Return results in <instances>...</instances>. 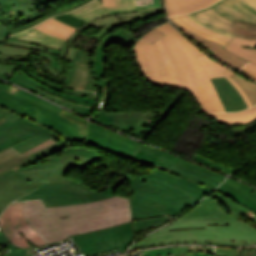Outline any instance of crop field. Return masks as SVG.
<instances>
[{
    "label": "crop field",
    "instance_id": "1",
    "mask_svg": "<svg viewBox=\"0 0 256 256\" xmlns=\"http://www.w3.org/2000/svg\"><path fill=\"white\" fill-rule=\"evenodd\" d=\"M93 159L80 155L65 154L55 163L16 171L14 168L0 173V213L17 198L48 182L73 183L93 194L77 195L65 191L39 190L16 201L43 198L47 207L81 204L116 196L112 192L117 184L126 179L133 188V199L129 198L132 220L169 215L173 218L207 195L212 190L186 181L173 174L154 169L144 177H123L106 191L97 193L86 185L63 176L71 165L85 168ZM52 174V176H50ZM43 179V180H41ZM120 197V196H119ZM126 198V197H125Z\"/></svg>",
    "mask_w": 256,
    "mask_h": 256
},
{
    "label": "crop field",
    "instance_id": "2",
    "mask_svg": "<svg viewBox=\"0 0 256 256\" xmlns=\"http://www.w3.org/2000/svg\"><path fill=\"white\" fill-rule=\"evenodd\" d=\"M186 243L255 244L256 214L214 191L168 226L142 238L131 248Z\"/></svg>",
    "mask_w": 256,
    "mask_h": 256
},
{
    "label": "crop field",
    "instance_id": "3",
    "mask_svg": "<svg viewBox=\"0 0 256 256\" xmlns=\"http://www.w3.org/2000/svg\"><path fill=\"white\" fill-rule=\"evenodd\" d=\"M159 29L166 35L161 39L179 77L160 76L151 43L164 35L155 28L142 36L134 46V54L145 79L155 85H168L188 90L197 99L204 113L225 111L215 88L196 57L204 53L170 23Z\"/></svg>",
    "mask_w": 256,
    "mask_h": 256
},
{
    "label": "crop field",
    "instance_id": "4",
    "mask_svg": "<svg viewBox=\"0 0 256 256\" xmlns=\"http://www.w3.org/2000/svg\"><path fill=\"white\" fill-rule=\"evenodd\" d=\"M103 207V209H101ZM26 220L47 244L69 235L131 220L129 200L113 197L93 203L46 208L42 200L23 202Z\"/></svg>",
    "mask_w": 256,
    "mask_h": 256
},
{
    "label": "crop field",
    "instance_id": "5",
    "mask_svg": "<svg viewBox=\"0 0 256 256\" xmlns=\"http://www.w3.org/2000/svg\"><path fill=\"white\" fill-rule=\"evenodd\" d=\"M0 107L31 119L72 142H84L86 128L58 115L62 109L23 90L14 94L1 90Z\"/></svg>",
    "mask_w": 256,
    "mask_h": 256
},
{
    "label": "crop field",
    "instance_id": "6",
    "mask_svg": "<svg viewBox=\"0 0 256 256\" xmlns=\"http://www.w3.org/2000/svg\"><path fill=\"white\" fill-rule=\"evenodd\" d=\"M21 45V47H20ZM37 54L45 59L38 58L39 62H34L35 69L38 73L46 76L44 80L38 78L30 70L29 64L26 58L18 57L14 58L13 55H24V54ZM0 58L4 59H14L19 60V63H7L0 61V73L11 76L12 73L21 67L22 71L25 72L28 76L34 78L35 80L57 90L61 91L65 88V83L62 84L63 72L61 64V51L20 41L10 37L4 45H0Z\"/></svg>",
    "mask_w": 256,
    "mask_h": 256
},
{
    "label": "crop field",
    "instance_id": "7",
    "mask_svg": "<svg viewBox=\"0 0 256 256\" xmlns=\"http://www.w3.org/2000/svg\"><path fill=\"white\" fill-rule=\"evenodd\" d=\"M192 15L221 31L256 39V0H220Z\"/></svg>",
    "mask_w": 256,
    "mask_h": 256
},
{
    "label": "crop field",
    "instance_id": "8",
    "mask_svg": "<svg viewBox=\"0 0 256 256\" xmlns=\"http://www.w3.org/2000/svg\"><path fill=\"white\" fill-rule=\"evenodd\" d=\"M51 136L58 141L63 138L31 120L21 118L13 123L8 121L0 126V150L12 145L23 153Z\"/></svg>",
    "mask_w": 256,
    "mask_h": 256
},
{
    "label": "crop field",
    "instance_id": "9",
    "mask_svg": "<svg viewBox=\"0 0 256 256\" xmlns=\"http://www.w3.org/2000/svg\"><path fill=\"white\" fill-rule=\"evenodd\" d=\"M86 256L119 248L124 253L134 240L131 221L94 232L71 236Z\"/></svg>",
    "mask_w": 256,
    "mask_h": 256
},
{
    "label": "crop field",
    "instance_id": "10",
    "mask_svg": "<svg viewBox=\"0 0 256 256\" xmlns=\"http://www.w3.org/2000/svg\"><path fill=\"white\" fill-rule=\"evenodd\" d=\"M0 225L11 243L17 246L30 247L25 238L36 246L45 244L44 240L25 220L22 211V202L12 203L6 208L0 216Z\"/></svg>",
    "mask_w": 256,
    "mask_h": 256
},
{
    "label": "crop field",
    "instance_id": "11",
    "mask_svg": "<svg viewBox=\"0 0 256 256\" xmlns=\"http://www.w3.org/2000/svg\"><path fill=\"white\" fill-rule=\"evenodd\" d=\"M162 12H164L162 8L149 9V10H143L139 12L107 15V16H103L95 20H92L90 22H87L85 25H83L82 28H80L75 34H73L69 38V40L66 42L63 53H62V58L73 61L76 49L71 47L70 45L78 37V35L89 25L94 24L102 28L100 32L93 37L101 41L106 34L120 27L122 24L131 22L134 20H138L140 18H148L154 15L160 14Z\"/></svg>",
    "mask_w": 256,
    "mask_h": 256
},
{
    "label": "crop field",
    "instance_id": "12",
    "mask_svg": "<svg viewBox=\"0 0 256 256\" xmlns=\"http://www.w3.org/2000/svg\"><path fill=\"white\" fill-rule=\"evenodd\" d=\"M157 161L171 166L170 170L172 171L170 173L212 189H214L226 178V176H223L217 172L178 158L175 155L165 151L162 152Z\"/></svg>",
    "mask_w": 256,
    "mask_h": 256
},
{
    "label": "crop field",
    "instance_id": "13",
    "mask_svg": "<svg viewBox=\"0 0 256 256\" xmlns=\"http://www.w3.org/2000/svg\"><path fill=\"white\" fill-rule=\"evenodd\" d=\"M87 143L129 159L135 154L140 144L93 122L89 125Z\"/></svg>",
    "mask_w": 256,
    "mask_h": 256
},
{
    "label": "crop field",
    "instance_id": "14",
    "mask_svg": "<svg viewBox=\"0 0 256 256\" xmlns=\"http://www.w3.org/2000/svg\"><path fill=\"white\" fill-rule=\"evenodd\" d=\"M50 0H10L0 3V24L8 29L31 23L43 15L35 8Z\"/></svg>",
    "mask_w": 256,
    "mask_h": 256
},
{
    "label": "crop field",
    "instance_id": "15",
    "mask_svg": "<svg viewBox=\"0 0 256 256\" xmlns=\"http://www.w3.org/2000/svg\"><path fill=\"white\" fill-rule=\"evenodd\" d=\"M157 18H164V16L157 17ZM155 19L141 23V25L148 23L150 21H153ZM140 26L134 28V30L131 31L130 33L122 27L121 29L106 35L104 39L97 45L95 52L93 54L92 68L98 82V88L100 89L108 88V85H109V80H107L106 78H103L104 71H105L104 47L106 43L120 41V43L123 45L134 46L140 37L132 33L136 29H138Z\"/></svg>",
    "mask_w": 256,
    "mask_h": 256
},
{
    "label": "crop field",
    "instance_id": "16",
    "mask_svg": "<svg viewBox=\"0 0 256 256\" xmlns=\"http://www.w3.org/2000/svg\"><path fill=\"white\" fill-rule=\"evenodd\" d=\"M159 111L156 112V114H158ZM145 113L147 112L127 111L106 113V111H99L92 117V119L107 124L109 126H113L134 136H138L143 131V129L149 124L147 122L148 119ZM150 116L151 114L149 113V117ZM150 120H152V118ZM132 129L136 130L133 131Z\"/></svg>",
    "mask_w": 256,
    "mask_h": 256
},
{
    "label": "crop field",
    "instance_id": "17",
    "mask_svg": "<svg viewBox=\"0 0 256 256\" xmlns=\"http://www.w3.org/2000/svg\"><path fill=\"white\" fill-rule=\"evenodd\" d=\"M158 7H162V6L148 7V8H142V9L158 8ZM142 9H136L134 0H103V3L99 2L98 0H94L68 13L78 16L87 21H90L92 19H95L103 15H107V14L122 13V12H128V11H138Z\"/></svg>",
    "mask_w": 256,
    "mask_h": 256
},
{
    "label": "crop field",
    "instance_id": "18",
    "mask_svg": "<svg viewBox=\"0 0 256 256\" xmlns=\"http://www.w3.org/2000/svg\"><path fill=\"white\" fill-rule=\"evenodd\" d=\"M62 146L55 138L51 137L41 145L21 154L16 149L10 147L0 152V172L21 165L50 150Z\"/></svg>",
    "mask_w": 256,
    "mask_h": 256
},
{
    "label": "crop field",
    "instance_id": "19",
    "mask_svg": "<svg viewBox=\"0 0 256 256\" xmlns=\"http://www.w3.org/2000/svg\"><path fill=\"white\" fill-rule=\"evenodd\" d=\"M63 146L55 149L53 151H50L30 162L24 163L21 166L15 167L16 170L29 168L37 165L47 164L51 162H55L58 160V158L65 153H71V154H80L86 157H90L95 159L96 161L100 162L103 160L102 154L98 153L95 150L86 148V147H78V145L74 144H67L65 141L60 140L59 141Z\"/></svg>",
    "mask_w": 256,
    "mask_h": 256
},
{
    "label": "crop field",
    "instance_id": "20",
    "mask_svg": "<svg viewBox=\"0 0 256 256\" xmlns=\"http://www.w3.org/2000/svg\"><path fill=\"white\" fill-rule=\"evenodd\" d=\"M211 81L216 88L226 111H238L247 108L242 96L225 77L214 78L211 79Z\"/></svg>",
    "mask_w": 256,
    "mask_h": 256
},
{
    "label": "crop field",
    "instance_id": "21",
    "mask_svg": "<svg viewBox=\"0 0 256 256\" xmlns=\"http://www.w3.org/2000/svg\"><path fill=\"white\" fill-rule=\"evenodd\" d=\"M11 82H14L28 90H31L37 86L45 91H48L50 93L58 95L63 99H66V100H69V101H72V102H75L78 104H82V105H86V106H90V107H93V105L95 104V99H93V98L79 97V96H75V95H71V94L60 93V92H57L49 87H46V86L40 84L39 82L33 80L32 78L28 77L21 70L18 71L13 76V78L11 79Z\"/></svg>",
    "mask_w": 256,
    "mask_h": 256
},
{
    "label": "crop field",
    "instance_id": "22",
    "mask_svg": "<svg viewBox=\"0 0 256 256\" xmlns=\"http://www.w3.org/2000/svg\"><path fill=\"white\" fill-rule=\"evenodd\" d=\"M171 20H172V18H171ZM174 24L177 25L179 29L183 30L187 35L192 36V37L200 40L203 44H205L207 47H209L211 50H213L216 53L215 56L217 58H219L222 62L231 66L232 68L239 71V69L242 66H244V64L246 63V61L228 53L225 50H223L222 48L224 46L219 45V44H217L215 42H212V41L205 40V39H203V38H201V37H199V36H197L193 33H190L188 31H186L185 29L181 28L176 22H174Z\"/></svg>",
    "mask_w": 256,
    "mask_h": 256
},
{
    "label": "crop field",
    "instance_id": "23",
    "mask_svg": "<svg viewBox=\"0 0 256 256\" xmlns=\"http://www.w3.org/2000/svg\"><path fill=\"white\" fill-rule=\"evenodd\" d=\"M91 62H92V54L91 53L77 50L75 59L70 67L69 76L65 81L67 86L75 79L78 63H82V64H86L87 70H88V83L84 90L96 91L97 90V82H96L93 72H92Z\"/></svg>",
    "mask_w": 256,
    "mask_h": 256
},
{
    "label": "crop field",
    "instance_id": "24",
    "mask_svg": "<svg viewBox=\"0 0 256 256\" xmlns=\"http://www.w3.org/2000/svg\"><path fill=\"white\" fill-rule=\"evenodd\" d=\"M199 60L201 61L205 71L207 72L210 78L225 76L239 91V93L243 96L245 101L247 102L248 106H252L248 101L247 97L245 96L243 90L239 85H237L229 76L230 74L234 73L233 71L223 67L222 65L218 64L215 60L208 57L206 54L198 56Z\"/></svg>",
    "mask_w": 256,
    "mask_h": 256
},
{
    "label": "crop field",
    "instance_id": "25",
    "mask_svg": "<svg viewBox=\"0 0 256 256\" xmlns=\"http://www.w3.org/2000/svg\"><path fill=\"white\" fill-rule=\"evenodd\" d=\"M12 37H15L17 39L49 46L52 48L60 49L62 48L65 40H61L58 38H55L51 35L42 33L41 31L35 30L33 28L23 31L21 33H17L12 35Z\"/></svg>",
    "mask_w": 256,
    "mask_h": 256
},
{
    "label": "crop field",
    "instance_id": "26",
    "mask_svg": "<svg viewBox=\"0 0 256 256\" xmlns=\"http://www.w3.org/2000/svg\"><path fill=\"white\" fill-rule=\"evenodd\" d=\"M241 45H244V46H256V40L243 39V38H240V37H235L231 41V43L226 47V49H228V50H230V51H232V52H234V53H236V54H238V55H240V56H242V57L252 61L253 63L252 64L248 63L247 66L252 68V69H254V70H256V49H254V48H244Z\"/></svg>",
    "mask_w": 256,
    "mask_h": 256
},
{
    "label": "crop field",
    "instance_id": "27",
    "mask_svg": "<svg viewBox=\"0 0 256 256\" xmlns=\"http://www.w3.org/2000/svg\"><path fill=\"white\" fill-rule=\"evenodd\" d=\"M162 152V150L144 145V144H140V147L138 149V151L136 152V154L131 158L133 161H137L143 164H147L153 167H156L160 170H164L169 172V166H166L164 164H161L157 161H155L157 159V157L160 155V153Z\"/></svg>",
    "mask_w": 256,
    "mask_h": 256
},
{
    "label": "crop field",
    "instance_id": "28",
    "mask_svg": "<svg viewBox=\"0 0 256 256\" xmlns=\"http://www.w3.org/2000/svg\"><path fill=\"white\" fill-rule=\"evenodd\" d=\"M214 118L217 122L225 124H239L252 121L256 118V106L237 113H217L207 114Z\"/></svg>",
    "mask_w": 256,
    "mask_h": 256
},
{
    "label": "crop field",
    "instance_id": "29",
    "mask_svg": "<svg viewBox=\"0 0 256 256\" xmlns=\"http://www.w3.org/2000/svg\"><path fill=\"white\" fill-rule=\"evenodd\" d=\"M34 28L65 40L76 30L54 18L46 20Z\"/></svg>",
    "mask_w": 256,
    "mask_h": 256
},
{
    "label": "crop field",
    "instance_id": "30",
    "mask_svg": "<svg viewBox=\"0 0 256 256\" xmlns=\"http://www.w3.org/2000/svg\"><path fill=\"white\" fill-rule=\"evenodd\" d=\"M216 191L224 194L225 196H227V197L235 200L236 202L244 205L248 209L256 212V203L252 206V205L246 203L245 201H243L242 199L239 198L246 191L242 187H240L236 184L228 183V182L225 181L222 185H220L218 187V189ZM253 193L256 194V190Z\"/></svg>",
    "mask_w": 256,
    "mask_h": 256
},
{
    "label": "crop field",
    "instance_id": "31",
    "mask_svg": "<svg viewBox=\"0 0 256 256\" xmlns=\"http://www.w3.org/2000/svg\"><path fill=\"white\" fill-rule=\"evenodd\" d=\"M31 91H33V92H35V93H37V94H39L43 97L51 99V100L65 106V107L71 109V110H74L76 112L82 113V114L87 115V116H90L91 109H92L90 107L78 105V104L63 100V99L59 98L58 96H55V95L50 94L48 92H45V91H43V90H41L37 87L35 89L31 90Z\"/></svg>",
    "mask_w": 256,
    "mask_h": 256
},
{
    "label": "crop field",
    "instance_id": "32",
    "mask_svg": "<svg viewBox=\"0 0 256 256\" xmlns=\"http://www.w3.org/2000/svg\"><path fill=\"white\" fill-rule=\"evenodd\" d=\"M209 0H164V5L168 13L194 8Z\"/></svg>",
    "mask_w": 256,
    "mask_h": 256
},
{
    "label": "crop field",
    "instance_id": "33",
    "mask_svg": "<svg viewBox=\"0 0 256 256\" xmlns=\"http://www.w3.org/2000/svg\"><path fill=\"white\" fill-rule=\"evenodd\" d=\"M172 220L166 216L159 218H150V219H140L132 221L133 231L138 232L142 230H146L155 226H162Z\"/></svg>",
    "mask_w": 256,
    "mask_h": 256
},
{
    "label": "crop field",
    "instance_id": "34",
    "mask_svg": "<svg viewBox=\"0 0 256 256\" xmlns=\"http://www.w3.org/2000/svg\"><path fill=\"white\" fill-rule=\"evenodd\" d=\"M231 77L236 83H238L243 88L252 105H255L256 104V84L241 77L236 73L231 75Z\"/></svg>",
    "mask_w": 256,
    "mask_h": 256
},
{
    "label": "crop field",
    "instance_id": "35",
    "mask_svg": "<svg viewBox=\"0 0 256 256\" xmlns=\"http://www.w3.org/2000/svg\"><path fill=\"white\" fill-rule=\"evenodd\" d=\"M172 18H173V20L176 21L180 26H182L183 28H185V29H187V30H189V31H191V32H193V33L199 35V36H202V37H204V38H206V39H208V40L215 41V42L220 43V44H222V45H224V46H226L227 43H228V41H225V40L220 39V38L213 37V36H211V35H209V34L203 32V31H201V30H199V29H196V28H194V27L188 25L180 16H176V17H172Z\"/></svg>",
    "mask_w": 256,
    "mask_h": 256
},
{
    "label": "crop field",
    "instance_id": "36",
    "mask_svg": "<svg viewBox=\"0 0 256 256\" xmlns=\"http://www.w3.org/2000/svg\"><path fill=\"white\" fill-rule=\"evenodd\" d=\"M39 189H55V190H66V191H70V192H74L77 194H84V193H90L87 190L73 185V184H64V183H49V184H43L41 186H39Z\"/></svg>",
    "mask_w": 256,
    "mask_h": 256
},
{
    "label": "crop field",
    "instance_id": "37",
    "mask_svg": "<svg viewBox=\"0 0 256 256\" xmlns=\"http://www.w3.org/2000/svg\"><path fill=\"white\" fill-rule=\"evenodd\" d=\"M87 83V70L86 66L79 64L77 69V75L74 82H72L69 87L83 90Z\"/></svg>",
    "mask_w": 256,
    "mask_h": 256
},
{
    "label": "crop field",
    "instance_id": "38",
    "mask_svg": "<svg viewBox=\"0 0 256 256\" xmlns=\"http://www.w3.org/2000/svg\"><path fill=\"white\" fill-rule=\"evenodd\" d=\"M89 1H91V0H84L83 2H81V3H79V4L75 5V6H72V7H69V8L60 10V11H57V12H55V13H53V14H49V15L45 16L44 18H42V19H40V20H37V21H35V22L31 23V24L24 25V26H20V27H16V28H14V29H11V30H10V33L13 34V33H15V32H18V31L25 30V29H28V28H30V27H33V26H35L36 24H38V23L44 21L45 19H47V18H49V17H51V16H53V15H55V14L68 12V11L73 10V9H75V8L81 6V5H83V4H85V3L89 2Z\"/></svg>",
    "mask_w": 256,
    "mask_h": 256
},
{
    "label": "crop field",
    "instance_id": "39",
    "mask_svg": "<svg viewBox=\"0 0 256 256\" xmlns=\"http://www.w3.org/2000/svg\"><path fill=\"white\" fill-rule=\"evenodd\" d=\"M227 181L236 183L247 190L240 198H242L243 200H245L246 202H248L252 205L256 202V195L252 193L255 190V188L244 185V184H242L236 180L230 179V178Z\"/></svg>",
    "mask_w": 256,
    "mask_h": 256
},
{
    "label": "crop field",
    "instance_id": "40",
    "mask_svg": "<svg viewBox=\"0 0 256 256\" xmlns=\"http://www.w3.org/2000/svg\"><path fill=\"white\" fill-rule=\"evenodd\" d=\"M152 46H153V49H154V52H155V55H156V58H157V61H158V64H159L161 75L171 76L167 67H166L164 58H163V56H162V54H161V52L158 48L157 42L153 43Z\"/></svg>",
    "mask_w": 256,
    "mask_h": 256
},
{
    "label": "crop field",
    "instance_id": "41",
    "mask_svg": "<svg viewBox=\"0 0 256 256\" xmlns=\"http://www.w3.org/2000/svg\"><path fill=\"white\" fill-rule=\"evenodd\" d=\"M54 18L74 27V28H78L80 25H82L84 23V21L78 19V18H75V17H72L68 14H62V15H59V16H55Z\"/></svg>",
    "mask_w": 256,
    "mask_h": 256
},
{
    "label": "crop field",
    "instance_id": "42",
    "mask_svg": "<svg viewBox=\"0 0 256 256\" xmlns=\"http://www.w3.org/2000/svg\"><path fill=\"white\" fill-rule=\"evenodd\" d=\"M157 42H158L159 48H160V50H161V52H162V54H163V56L165 58L167 67H168L171 75L172 76H178L177 73H176V70H175V68H174V66H173V64H172V62L170 60V57H169V55H168V53H167V51H166V49H165V47H164V45H163V43L161 41V39L157 40Z\"/></svg>",
    "mask_w": 256,
    "mask_h": 256
},
{
    "label": "crop field",
    "instance_id": "43",
    "mask_svg": "<svg viewBox=\"0 0 256 256\" xmlns=\"http://www.w3.org/2000/svg\"><path fill=\"white\" fill-rule=\"evenodd\" d=\"M242 249H256V247L238 248L236 251H232L228 248H216V256H239Z\"/></svg>",
    "mask_w": 256,
    "mask_h": 256
},
{
    "label": "crop field",
    "instance_id": "44",
    "mask_svg": "<svg viewBox=\"0 0 256 256\" xmlns=\"http://www.w3.org/2000/svg\"><path fill=\"white\" fill-rule=\"evenodd\" d=\"M6 247L9 251L3 253L8 256H26V248L17 247L11 243L7 244Z\"/></svg>",
    "mask_w": 256,
    "mask_h": 256
},
{
    "label": "crop field",
    "instance_id": "45",
    "mask_svg": "<svg viewBox=\"0 0 256 256\" xmlns=\"http://www.w3.org/2000/svg\"><path fill=\"white\" fill-rule=\"evenodd\" d=\"M181 17H182L187 23H189V24H191V25H193V26H195V27H197V28H199V29H201V30H203V31H205V32H207V33L213 35V36H217V37L226 39V40H228V41L231 40V38H228V37H226V36H223V35H221V34H218V33H216V32H213V31H211V30H208V29H206V28H204V27H202V26H199V25L195 24V23L188 17L187 14L181 15Z\"/></svg>",
    "mask_w": 256,
    "mask_h": 256
},
{
    "label": "crop field",
    "instance_id": "46",
    "mask_svg": "<svg viewBox=\"0 0 256 256\" xmlns=\"http://www.w3.org/2000/svg\"><path fill=\"white\" fill-rule=\"evenodd\" d=\"M174 254L169 256H194V253H190L187 247H172Z\"/></svg>",
    "mask_w": 256,
    "mask_h": 256
},
{
    "label": "crop field",
    "instance_id": "47",
    "mask_svg": "<svg viewBox=\"0 0 256 256\" xmlns=\"http://www.w3.org/2000/svg\"><path fill=\"white\" fill-rule=\"evenodd\" d=\"M137 8L161 5L160 0H135Z\"/></svg>",
    "mask_w": 256,
    "mask_h": 256
},
{
    "label": "crop field",
    "instance_id": "48",
    "mask_svg": "<svg viewBox=\"0 0 256 256\" xmlns=\"http://www.w3.org/2000/svg\"><path fill=\"white\" fill-rule=\"evenodd\" d=\"M2 116H4L5 118H7V119H8L9 121H11V122L14 121V120H16V119L21 118V117H19V116L13 114V113H11V112H8V111L5 110V109L0 108V117H2Z\"/></svg>",
    "mask_w": 256,
    "mask_h": 256
},
{
    "label": "crop field",
    "instance_id": "49",
    "mask_svg": "<svg viewBox=\"0 0 256 256\" xmlns=\"http://www.w3.org/2000/svg\"><path fill=\"white\" fill-rule=\"evenodd\" d=\"M63 92L71 93L79 96H88V97L95 98L94 93L86 92V91H77V90H71V89L65 88Z\"/></svg>",
    "mask_w": 256,
    "mask_h": 256
},
{
    "label": "crop field",
    "instance_id": "50",
    "mask_svg": "<svg viewBox=\"0 0 256 256\" xmlns=\"http://www.w3.org/2000/svg\"><path fill=\"white\" fill-rule=\"evenodd\" d=\"M190 252H205L214 255V249L211 247H188Z\"/></svg>",
    "mask_w": 256,
    "mask_h": 256
},
{
    "label": "crop field",
    "instance_id": "51",
    "mask_svg": "<svg viewBox=\"0 0 256 256\" xmlns=\"http://www.w3.org/2000/svg\"><path fill=\"white\" fill-rule=\"evenodd\" d=\"M216 1H218V0H211L210 2H208V3L204 4V5H201V6L197 7V8H195V9L184 10V11H179V12H175V13H170V14H168V15L171 16V15L181 14V13H185V12L196 11V10H199V9H201V8H204V7L208 6V5H211V4H213L214 2H216Z\"/></svg>",
    "mask_w": 256,
    "mask_h": 256
},
{
    "label": "crop field",
    "instance_id": "52",
    "mask_svg": "<svg viewBox=\"0 0 256 256\" xmlns=\"http://www.w3.org/2000/svg\"><path fill=\"white\" fill-rule=\"evenodd\" d=\"M188 15L190 16V18H191L194 22H196V23H198V24H200V25H202V26H204V27H206V28H208V29H211V30L216 31V32H218V33H221V34H223V35L229 36V37H231V38L235 37L234 35L221 32V31H219V30H217V29H214V28H212V27L206 26V25H204V24L198 22V21L191 15V13L188 14Z\"/></svg>",
    "mask_w": 256,
    "mask_h": 256
},
{
    "label": "crop field",
    "instance_id": "53",
    "mask_svg": "<svg viewBox=\"0 0 256 256\" xmlns=\"http://www.w3.org/2000/svg\"><path fill=\"white\" fill-rule=\"evenodd\" d=\"M9 34V30L0 25V42L4 41Z\"/></svg>",
    "mask_w": 256,
    "mask_h": 256
},
{
    "label": "crop field",
    "instance_id": "54",
    "mask_svg": "<svg viewBox=\"0 0 256 256\" xmlns=\"http://www.w3.org/2000/svg\"><path fill=\"white\" fill-rule=\"evenodd\" d=\"M10 241L5 237V235H0V248L3 249V251H7V248L4 244L9 243Z\"/></svg>",
    "mask_w": 256,
    "mask_h": 256
},
{
    "label": "crop field",
    "instance_id": "55",
    "mask_svg": "<svg viewBox=\"0 0 256 256\" xmlns=\"http://www.w3.org/2000/svg\"><path fill=\"white\" fill-rule=\"evenodd\" d=\"M61 113H62V114H65V115H68V116H70V117H72V118H74V119H76V120H78V121H80V122L85 123V124H87V122H88L86 119H84V118H79L78 116H76V115H74V114H71V113H69V112H67V111H65V110H63Z\"/></svg>",
    "mask_w": 256,
    "mask_h": 256
},
{
    "label": "crop field",
    "instance_id": "56",
    "mask_svg": "<svg viewBox=\"0 0 256 256\" xmlns=\"http://www.w3.org/2000/svg\"><path fill=\"white\" fill-rule=\"evenodd\" d=\"M2 88L6 89V90H8V91H10L12 93L17 91V89H15V88H13V87H11V86H9V85H7V84H5V83L0 81V89H2Z\"/></svg>",
    "mask_w": 256,
    "mask_h": 256
},
{
    "label": "crop field",
    "instance_id": "57",
    "mask_svg": "<svg viewBox=\"0 0 256 256\" xmlns=\"http://www.w3.org/2000/svg\"><path fill=\"white\" fill-rule=\"evenodd\" d=\"M190 38H192V37H190ZM193 39V41H195L196 43H198L207 53H209V54H211L213 57H215L214 56V52H212L210 49H208L206 46H204L203 44H201L200 43V41H198V40H196V39H194V38H192ZM216 58V57H215ZM219 60V59H218Z\"/></svg>",
    "mask_w": 256,
    "mask_h": 256
},
{
    "label": "crop field",
    "instance_id": "58",
    "mask_svg": "<svg viewBox=\"0 0 256 256\" xmlns=\"http://www.w3.org/2000/svg\"><path fill=\"white\" fill-rule=\"evenodd\" d=\"M240 256H256V250H243Z\"/></svg>",
    "mask_w": 256,
    "mask_h": 256
},
{
    "label": "crop field",
    "instance_id": "59",
    "mask_svg": "<svg viewBox=\"0 0 256 256\" xmlns=\"http://www.w3.org/2000/svg\"><path fill=\"white\" fill-rule=\"evenodd\" d=\"M242 69L248 71L250 74H252L256 78V71H254V70H252V69H250V68H248L246 66L243 67Z\"/></svg>",
    "mask_w": 256,
    "mask_h": 256
},
{
    "label": "crop field",
    "instance_id": "60",
    "mask_svg": "<svg viewBox=\"0 0 256 256\" xmlns=\"http://www.w3.org/2000/svg\"><path fill=\"white\" fill-rule=\"evenodd\" d=\"M195 256H213V255L204 254V253H195Z\"/></svg>",
    "mask_w": 256,
    "mask_h": 256
},
{
    "label": "crop field",
    "instance_id": "61",
    "mask_svg": "<svg viewBox=\"0 0 256 256\" xmlns=\"http://www.w3.org/2000/svg\"><path fill=\"white\" fill-rule=\"evenodd\" d=\"M241 72L244 73L245 75L249 76L250 78L254 79L253 76H251L248 72L244 71L241 69ZM255 80V79H254Z\"/></svg>",
    "mask_w": 256,
    "mask_h": 256
},
{
    "label": "crop field",
    "instance_id": "62",
    "mask_svg": "<svg viewBox=\"0 0 256 256\" xmlns=\"http://www.w3.org/2000/svg\"><path fill=\"white\" fill-rule=\"evenodd\" d=\"M6 121H8V120H6V119L3 117V118L0 119V124L4 123V122H6Z\"/></svg>",
    "mask_w": 256,
    "mask_h": 256
},
{
    "label": "crop field",
    "instance_id": "63",
    "mask_svg": "<svg viewBox=\"0 0 256 256\" xmlns=\"http://www.w3.org/2000/svg\"><path fill=\"white\" fill-rule=\"evenodd\" d=\"M0 77L6 78V79H8V80H9V78H10L9 76H5V75H1V74H0ZM6 79H5V80H6Z\"/></svg>",
    "mask_w": 256,
    "mask_h": 256
},
{
    "label": "crop field",
    "instance_id": "64",
    "mask_svg": "<svg viewBox=\"0 0 256 256\" xmlns=\"http://www.w3.org/2000/svg\"><path fill=\"white\" fill-rule=\"evenodd\" d=\"M2 1H6V0H0V2H2Z\"/></svg>",
    "mask_w": 256,
    "mask_h": 256
}]
</instances>
